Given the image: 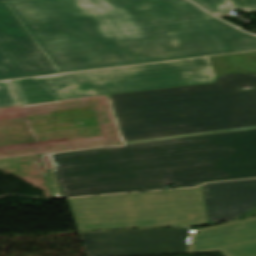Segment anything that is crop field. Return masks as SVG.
<instances>
[{
    "label": "crop field",
    "mask_w": 256,
    "mask_h": 256,
    "mask_svg": "<svg viewBox=\"0 0 256 256\" xmlns=\"http://www.w3.org/2000/svg\"><path fill=\"white\" fill-rule=\"evenodd\" d=\"M57 73L256 50L187 0L4 2Z\"/></svg>",
    "instance_id": "1"
},
{
    "label": "crop field",
    "mask_w": 256,
    "mask_h": 256,
    "mask_svg": "<svg viewBox=\"0 0 256 256\" xmlns=\"http://www.w3.org/2000/svg\"><path fill=\"white\" fill-rule=\"evenodd\" d=\"M53 198L256 177V129L30 156Z\"/></svg>",
    "instance_id": "2"
},
{
    "label": "crop field",
    "mask_w": 256,
    "mask_h": 256,
    "mask_svg": "<svg viewBox=\"0 0 256 256\" xmlns=\"http://www.w3.org/2000/svg\"><path fill=\"white\" fill-rule=\"evenodd\" d=\"M256 74L216 83L106 95L122 144L256 127Z\"/></svg>",
    "instance_id": "3"
},
{
    "label": "crop field",
    "mask_w": 256,
    "mask_h": 256,
    "mask_svg": "<svg viewBox=\"0 0 256 256\" xmlns=\"http://www.w3.org/2000/svg\"><path fill=\"white\" fill-rule=\"evenodd\" d=\"M211 58L85 71L10 81L21 105L101 94L212 83Z\"/></svg>",
    "instance_id": "4"
},
{
    "label": "crop field",
    "mask_w": 256,
    "mask_h": 256,
    "mask_svg": "<svg viewBox=\"0 0 256 256\" xmlns=\"http://www.w3.org/2000/svg\"><path fill=\"white\" fill-rule=\"evenodd\" d=\"M67 200L79 231L208 223L202 188Z\"/></svg>",
    "instance_id": "5"
},
{
    "label": "crop field",
    "mask_w": 256,
    "mask_h": 256,
    "mask_svg": "<svg viewBox=\"0 0 256 256\" xmlns=\"http://www.w3.org/2000/svg\"><path fill=\"white\" fill-rule=\"evenodd\" d=\"M79 234L86 256L187 253L188 228Z\"/></svg>",
    "instance_id": "6"
},
{
    "label": "crop field",
    "mask_w": 256,
    "mask_h": 256,
    "mask_svg": "<svg viewBox=\"0 0 256 256\" xmlns=\"http://www.w3.org/2000/svg\"><path fill=\"white\" fill-rule=\"evenodd\" d=\"M56 73L3 2H0V80Z\"/></svg>",
    "instance_id": "7"
},
{
    "label": "crop field",
    "mask_w": 256,
    "mask_h": 256,
    "mask_svg": "<svg viewBox=\"0 0 256 256\" xmlns=\"http://www.w3.org/2000/svg\"><path fill=\"white\" fill-rule=\"evenodd\" d=\"M256 256V218L189 232L188 253Z\"/></svg>",
    "instance_id": "8"
},
{
    "label": "crop field",
    "mask_w": 256,
    "mask_h": 256,
    "mask_svg": "<svg viewBox=\"0 0 256 256\" xmlns=\"http://www.w3.org/2000/svg\"><path fill=\"white\" fill-rule=\"evenodd\" d=\"M209 224L256 216V179L211 183L203 186ZM250 212V211H249Z\"/></svg>",
    "instance_id": "9"
},
{
    "label": "crop field",
    "mask_w": 256,
    "mask_h": 256,
    "mask_svg": "<svg viewBox=\"0 0 256 256\" xmlns=\"http://www.w3.org/2000/svg\"><path fill=\"white\" fill-rule=\"evenodd\" d=\"M231 72H256V51L226 55Z\"/></svg>",
    "instance_id": "10"
},
{
    "label": "crop field",
    "mask_w": 256,
    "mask_h": 256,
    "mask_svg": "<svg viewBox=\"0 0 256 256\" xmlns=\"http://www.w3.org/2000/svg\"><path fill=\"white\" fill-rule=\"evenodd\" d=\"M213 15L218 16L235 9L230 0H193Z\"/></svg>",
    "instance_id": "11"
},
{
    "label": "crop field",
    "mask_w": 256,
    "mask_h": 256,
    "mask_svg": "<svg viewBox=\"0 0 256 256\" xmlns=\"http://www.w3.org/2000/svg\"><path fill=\"white\" fill-rule=\"evenodd\" d=\"M20 105L9 81L0 82V107Z\"/></svg>",
    "instance_id": "12"
},
{
    "label": "crop field",
    "mask_w": 256,
    "mask_h": 256,
    "mask_svg": "<svg viewBox=\"0 0 256 256\" xmlns=\"http://www.w3.org/2000/svg\"><path fill=\"white\" fill-rule=\"evenodd\" d=\"M217 75L229 73L224 56L211 57Z\"/></svg>",
    "instance_id": "13"
},
{
    "label": "crop field",
    "mask_w": 256,
    "mask_h": 256,
    "mask_svg": "<svg viewBox=\"0 0 256 256\" xmlns=\"http://www.w3.org/2000/svg\"><path fill=\"white\" fill-rule=\"evenodd\" d=\"M242 11L256 10V0H231Z\"/></svg>",
    "instance_id": "14"
},
{
    "label": "crop field",
    "mask_w": 256,
    "mask_h": 256,
    "mask_svg": "<svg viewBox=\"0 0 256 256\" xmlns=\"http://www.w3.org/2000/svg\"><path fill=\"white\" fill-rule=\"evenodd\" d=\"M0 1H7V0H0Z\"/></svg>",
    "instance_id": "15"
}]
</instances>
